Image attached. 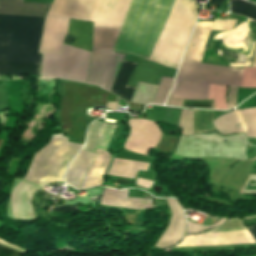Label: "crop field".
I'll list each match as a JSON object with an SVG mask.
<instances>
[{
    "mask_svg": "<svg viewBox=\"0 0 256 256\" xmlns=\"http://www.w3.org/2000/svg\"><path fill=\"white\" fill-rule=\"evenodd\" d=\"M67 33L76 36L74 46L91 51L92 23L70 19Z\"/></svg>",
    "mask_w": 256,
    "mask_h": 256,
    "instance_id": "obj_20",
    "label": "crop field"
},
{
    "mask_svg": "<svg viewBox=\"0 0 256 256\" xmlns=\"http://www.w3.org/2000/svg\"><path fill=\"white\" fill-rule=\"evenodd\" d=\"M213 112L193 110L194 134L215 130L211 124Z\"/></svg>",
    "mask_w": 256,
    "mask_h": 256,
    "instance_id": "obj_24",
    "label": "crop field"
},
{
    "mask_svg": "<svg viewBox=\"0 0 256 256\" xmlns=\"http://www.w3.org/2000/svg\"><path fill=\"white\" fill-rule=\"evenodd\" d=\"M245 1V0H244ZM242 0H231L230 12L244 15L256 20V5L249 4Z\"/></svg>",
    "mask_w": 256,
    "mask_h": 256,
    "instance_id": "obj_25",
    "label": "crop field"
},
{
    "mask_svg": "<svg viewBox=\"0 0 256 256\" xmlns=\"http://www.w3.org/2000/svg\"><path fill=\"white\" fill-rule=\"evenodd\" d=\"M136 64L123 61L115 78L111 93L124 99L128 104L131 100L135 87L126 86Z\"/></svg>",
    "mask_w": 256,
    "mask_h": 256,
    "instance_id": "obj_19",
    "label": "crop field"
},
{
    "mask_svg": "<svg viewBox=\"0 0 256 256\" xmlns=\"http://www.w3.org/2000/svg\"><path fill=\"white\" fill-rule=\"evenodd\" d=\"M40 64L0 61V75H38Z\"/></svg>",
    "mask_w": 256,
    "mask_h": 256,
    "instance_id": "obj_22",
    "label": "crop field"
},
{
    "mask_svg": "<svg viewBox=\"0 0 256 256\" xmlns=\"http://www.w3.org/2000/svg\"><path fill=\"white\" fill-rule=\"evenodd\" d=\"M40 188L22 182L11 194V203L14 216L34 217L31 198Z\"/></svg>",
    "mask_w": 256,
    "mask_h": 256,
    "instance_id": "obj_13",
    "label": "crop field"
},
{
    "mask_svg": "<svg viewBox=\"0 0 256 256\" xmlns=\"http://www.w3.org/2000/svg\"><path fill=\"white\" fill-rule=\"evenodd\" d=\"M118 126L94 121L88 131L84 150L94 152L96 148L106 149L109 139L114 135Z\"/></svg>",
    "mask_w": 256,
    "mask_h": 256,
    "instance_id": "obj_14",
    "label": "crop field"
},
{
    "mask_svg": "<svg viewBox=\"0 0 256 256\" xmlns=\"http://www.w3.org/2000/svg\"><path fill=\"white\" fill-rule=\"evenodd\" d=\"M173 81H174V79H171V78H165V77L161 78V81H160V84H159V87H158V90H157V93H156L153 103L159 104V105H162L164 103V101L167 97V94L173 85Z\"/></svg>",
    "mask_w": 256,
    "mask_h": 256,
    "instance_id": "obj_27",
    "label": "crop field"
},
{
    "mask_svg": "<svg viewBox=\"0 0 256 256\" xmlns=\"http://www.w3.org/2000/svg\"><path fill=\"white\" fill-rule=\"evenodd\" d=\"M55 90L60 109L52 116L70 142L84 143L87 126L93 121L86 114L87 108L108 106L117 109L118 98L96 86L58 80Z\"/></svg>",
    "mask_w": 256,
    "mask_h": 256,
    "instance_id": "obj_3",
    "label": "crop field"
},
{
    "mask_svg": "<svg viewBox=\"0 0 256 256\" xmlns=\"http://www.w3.org/2000/svg\"><path fill=\"white\" fill-rule=\"evenodd\" d=\"M225 220H226V219H221L217 224L212 225V226H208V227H203V226H200V225H196V224H192V223H191V230H190V233H199V232L205 231V230H207V229L214 228V227H216L217 225L223 223Z\"/></svg>",
    "mask_w": 256,
    "mask_h": 256,
    "instance_id": "obj_32",
    "label": "crop field"
},
{
    "mask_svg": "<svg viewBox=\"0 0 256 256\" xmlns=\"http://www.w3.org/2000/svg\"><path fill=\"white\" fill-rule=\"evenodd\" d=\"M96 157L97 154L95 153L81 150L72 162L68 170L65 182L78 189L85 171Z\"/></svg>",
    "mask_w": 256,
    "mask_h": 256,
    "instance_id": "obj_16",
    "label": "crop field"
},
{
    "mask_svg": "<svg viewBox=\"0 0 256 256\" xmlns=\"http://www.w3.org/2000/svg\"><path fill=\"white\" fill-rule=\"evenodd\" d=\"M68 21L69 19L67 18L46 16L39 50L40 54H62Z\"/></svg>",
    "mask_w": 256,
    "mask_h": 256,
    "instance_id": "obj_11",
    "label": "crop field"
},
{
    "mask_svg": "<svg viewBox=\"0 0 256 256\" xmlns=\"http://www.w3.org/2000/svg\"><path fill=\"white\" fill-rule=\"evenodd\" d=\"M51 211L76 212L77 211V205L61 206V207H58V208H52Z\"/></svg>",
    "mask_w": 256,
    "mask_h": 256,
    "instance_id": "obj_34",
    "label": "crop field"
},
{
    "mask_svg": "<svg viewBox=\"0 0 256 256\" xmlns=\"http://www.w3.org/2000/svg\"><path fill=\"white\" fill-rule=\"evenodd\" d=\"M165 200L169 203L173 214L168 229L164 232L156 244V246L163 248L179 242L185 231V219L179 202L175 199Z\"/></svg>",
    "mask_w": 256,
    "mask_h": 256,
    "instance_id": "obj_12",
    "label": "crop field"
},
{
    "mask_svg": "<svg viewBox=\"0 0 256 256\" xmlns=\"http://www.w3.org/2000/svg\"><path fill=\"white\" fill-rule=\"evenodd\" d=\"M222 1L223 0H208L207 3H211V4H215V5L219 6Z\"/></svg>",
    "mask_w": 256,
    "mask_h": 256,
    "instance_id": "obj_38",
    "label": "crop field"
},
{
    "mask_svg": "<svg viewBox=\"0 0 256 256\" xmlns=\"http://www.w3.org/2000/svg\"><path fill=\"white\" fill-rule=\"evenodd\" d=\"M236 92H237V88L229 87V96H228V102H227L228 109L235 107Z\"/></svg>",
    "mask_w": 256,
    "mask_h": 256,
    "instance_id": "obj_31",
    "label": "crop field"
},
{
    "mask_svg": "<svg viewBox=\"0 0 256 256\" xmlns=\"http://www.w3.org/2000/svg\"><path fill=\"white\" fill-rule=\"evenodd\" d=\"M96 153L99 154L96 161L93 162L89 168L80 189H86L92 186H100L103 183L101 176L106 168V165L111 158V154L104 150H96Z\"/></svg>",
    "mask_w": 256,
    "mask_h": 256,
    "instance_id": "obj_18",
    "label": "crop field"
},
{
    "mask_svg": "<svg viewBox=\"0 0 256 256\" xmlns=\"http://www.w3.org/2000/svg\"><path fill=\"white\" fill-rule=\"evenodd\" d=\"M183 107H198V108L214 109L212 100H204V101H199V102L184 101Z\"/></svg>",
    "mask_w": 256,
    "mask_h": 256,
    "instance_id": "obj_30",
    "label": "crop field"
},
{
    "mask_svg": "<svg viewBox=\"0 0 256 256\" xmlns=\"http://www.w3.org/2000/svg\"><path fill=\"white\" fill-rule=\"evenodd\" d=\"M121 115H122V113H106L105 118L117 120L116 125H118L119 121H120V118H121ZM97 121L104 122L103 119H100V120H97ZM105 123H107V122H105ZM111 124H113V123H111Z\"/></svg>",
    "mask_w": 256,
    "mask_h": 256,
    "instance_id": "obj_35",
    "label": "crop field"
},
{
    "mask_svg": "<svg viewBox=\"0 0 256 256\" xmlns=\"http://www.w3.org/2000/svg\"><path fill=\"white\" fill-rule=\"evenodd\" d=\"M90 52L65 45L63 55H42L40 78H63L86 83Z\"/></svg>",
    "mask_w": 256,
    "mask_h": 256,
    "instance_id": "obj_6",
    "label": "crop field"
},
{
    "mask_svg": "<svg viewBox=\"0 0 256 256\" xmlns=\"http://www.w3.org/2000/svg\"><path fill=\"white\" fill-rule=\"evenodd\" d=\"M227 89L228 87L210 85L207 99H213L215 109H227L225 101Z\"/></svg>",
    "mask_w": 256,
    "mask_h": 256,
    "instance_id": "obj_26",
    "label": "crop field"
},
{
    "mask_svg": "<svg viewBox=\"0 0 256 256\" xmlns=\"http://www.w3.org/2000/svg\"><path fill=\"white\" fill-rule=\"evenodd\" d=\"M131 0H54L48 12L92 21L93 27L119 31ZM173 0H132L111 51L148 59L170 13ZM193 0H174L170 16L149 61L177 68L194 25Z\"/></svg>",
    "mask_w": 256,
    "mask_h": 256,
    "instance_id": "obj_1",
    "label": "crop field"
},
{
    "mask_svg": "<svg viewBox=\"0 0 256 256\" xmlns=\"http://www.w3.org/2000/svg\"><path fill=\"white\" fill-rule=\"evenodd\" d=\"M20 252L0 246V256H20Z\"/></svg>",
    "mask_w": 256,
    "mask_h": 256,
    "instance_id": "obj_33",
    "label": "crop field"
},
{
    "mask_svg": "<svg viewBox=\"0 0 256 256\" xmlns=\"http://www.w3.org/2000/svg\"><path fill=\"white\" fill-rule=\"evenodd\" d=\"M235 22L215 19L196 23L171 95L206 99L209 84L240 87L243 69L200 64L210 30H231Z\"/></svg>",
    "mask_w": 256,
    "mask_h": 256,
    "instance_id": "obj_2",
    "label": "crop field"
},
{
    "mask_svg": "<svg viewBox=\"0 0 256 256\" xmlns=\"http://www.w3.org/2000/svg\"><path fill=\"white\" fill-rule=\"evenodd\" d=\"M241 87L256 88V68H244Z\"/></svg>",
    "mask_w": 256,
    "mask_h": 256,
    "instance_id": "obj_29",
    "label": "crop field"
},
{
    "mask_svg": "<svg viewBox=\"0 0 256 256\" xmlns=\"http://www.w3.org/2000/svg\"><path fill=\"white\" fill-rule=\"evenodd\" d=\"M127 194L128 189L114 191L104 188L100 204L131 208H149L152 206L151 200L127 199Z\"/></svg>",
    "mask_w": 256,
    "mask_h": 256,
    "instance_id": "obj_17",
    "label": "crop field"
},
{
    "mask_svg": "<svg viewBox=\"0 0 256 256\" xmlns=\"http://www.w3.org/2000/svg\"><path fill=\"white\" fill-rule=\"evenodd\" d=\"M151 184H152L151 181H147V180H143V179H139V178H137V181H136V185H139V186H142V187L148 188V189Z\"/></svg>",
    "mask_w": 256,
    "mask_h": 256,
    "instance_id": "obj_36",
    "label": "crop field"
},
{
    "mask_svg": "<svg viewBox=\"0 0 256 256\" xmlns=\"http://www.w3.org/2000/svg\"><path fill=\"white\" fill-rule=\"evenodd\" d=\"M63 134L53 135L42 150L35 153L23 180L43 187L63 182L64 173L82 145L67 142Z\"/></svg>",
    "mask_w": 256,
    "mask_h": 256,
    "instance_id": "obj_5",
    "label": "crop field"
},
{
    "mask_svg": "<svg viewBox=\"0 0 256 256\" xmlns=\"http://www.w3.org/2000/svg\"><path fill=\"white\" fill-rule=\"evenodd\" d=\"M115 156H114V158H115ZM114 158H113V160H114ZM113 160L111 162V165L113 163ZM111 165L106 173L107 175L110 171ZM148 165L149 164H147V163H141V162H135V161L115 158V161L112 165V169H111L109 175L134 179L137 169L147 170Z\"/></svg>",
    "mask_w": 256,
    "mask_h": 256,
    "instance_id": "obj_21",
    "label": "crop field"
},
{
    "mask_svg": "<svg viewBox=\"0 0 256 256\" xmlns=\"http://www.w3.org/2000/svg\"><path fill=\"white\" fill-rule=\"evenodd\" d=\"M0 244H2V245H4V246H7V247H9V248L15 249V250H19V251H21V252L25 253V251H24V250L18 249V248L13 247V246H10V245H8V244H6V243L2 242V241H0Z\"/></svg>",
    "mask_w": 256,
    "mask_h": 256,
    "instance_id": "obj_37",
    "label": "crop field"
},
{
    "mask_svg": "<svg viewBox=\"0 0 256 256\" xmlns=\"http://www.w3.org/2000/svg\"><path fill=\"white\" fill-rule=\"evenodd\" d=\"M254 217H256V216H252V217H246V218H244V220H245V219H248V218H254Z\"/></svg>",
    "mask_w": 256,
    "mask_h": 256,
    "instance_id": "obj_40",
    "label": "crop field"
},
{
    "mask_svg": "<svg viewBox=\"0 0 256 256\" xmlns=\"http://www.w3.org/2000/svg\"><path fill=\"white\" fill-rule=\"evenodd\" d=\"M49 5L21 3V0H0V13L44 17Z\"/></svg>",
    "mask_w": 256,
    "mask_h": 256,
    "instance_id": "obj_15",
    "label": "crop field"
},
{
    "mask_svg": "<svg viewBox=\"0 0 256 256\" xmlns=\"http://www.w3.org/2000/svg\"><path fill=\"white\" fill-rule=\"evenodd\" d=\"M256 240V225L248 227ZM249 231L202 233L185 237L177 246L226 245L255 242Z\"/></svg>",
    "mask_w": 256,
    "mask_h": 256,
    "instance_id": "obj_10",
    "label": "crop field"
},
{
    "mask_svg": "<svg viewBox=\"0 0 256 256\" xmlns=\"http://www.w3.org/2000/svg\"><path fill=\"white\" fill-rule=\"evenodd\" d=\"M216 130L222 135L246 133L256 137V108L229 112L212 121Z\"/></svg>",
    "mask_w": 256,
    "mask_h": 256,
    "instance_id": "obj_8",
    "label": "crop field"
},
{
    "mask_svg": "<svg viewBox=\"0 0 256 256\" xmlns=\"http://www.w3.org/2000/svg\"><path fill=\"white\" fill-rule=\"evenodd\" d=\"M252 67H256V54H255V58H254V62H253V66Z\"/></svg>",
    "mask_w": 256,
    "mask_h": 256,
    "instance_id": "obj_39",
    "label": "crop field"
},
{
    "mask_svg": "<svg viewBox=\"0 0 256 256\" xmlns=\"http://www.w3.org/2000/svg\"><path fill=\"white\" fill-rule=\"evenodd\" d=\"M117 53L92 48L88 83L110 91Z\"/></svg>",
    "mask_w": 256,
    "mask_h": 256,
    "instance_id": "obj_9",
    "label": "crop field"
},
{
    "mask_svg": "<svg viewBox=\"0 0 256 256\" xmlns=\"http://www.w3.org/2000/svg\"><path fill=\"white\" fill-rule=\"evenodd\" d=\"M157 87L156 85L139 81L131 102L143 104L152 103Z\"/></svg>",
    "mask_w": 256,
    "mask_h": 256,
    "instance_id": "obj_23",
    "label": "crop field"
},
{
    "mask_svg": "<svg viewBox=\"0 0 256 256\" xmlns=\"http://www.w3.org/2000/svg\"><path fill=\"white\" fill-rule=\"evenodd\" d=\"M43 19L0 15V60L40 63L37 50Z\"/></svg>",
    "mask_w": 256,
    "mask_h": 256,
    "instance_id": "obj_4",
    "label": "crop field"
},
{
    "mask_svg": "<svg viewBox=\"0 0 256 256\" xmlns=\"http://www.w3.org/2000/svg\"><path fill=\"white\" fill-rule=\"evenodd\" d=\"M178 126L183 128L181 135L193 134L192 110L182 109Z\"/></svg>",
    "mask_w": 256,
    "mask_h": 256,
    "instance_id": "obj_28",
    "label": "crop field"
},
{
    "mask_svg": "<svg viewBox=\"0 0 256 256\" xmlns=\"http://www.w3.org/2000/svg\"><path fill=\"white\" fill-rule=\"evenodd\" d=\"M127 123L131 128V132L124 143V148L147 155L161 135L156 123L145 119L134 118H129Z\"/></svg>",
    "mask_w": 256,
    "mask_h": 256,
    "instance_id": "obj_7",
    "label": "crop field"
}]
</instances>
